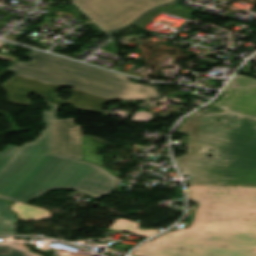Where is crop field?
Returning <instances> with one entry per match:
<instances>
[{"instance_id": "8a807250", "label": "crop field", "mask_w": 256, "mask_h": 256, "mask_svg": "<svg viewBox=\"0 0 256 256\" xmlns=\"http://www.w3.org/2000/svg\"><path fill=\"white\" fill-rule=\"evenodd\" d=\"M199 203L192 225L167 232L133 256H256V186H187Z\"/></svg>"}, {"instance_id": "ac0d7876", "label": "crop field", "mask_w": 256, "mask_h": 256, "mask_svg": "<svg viewBox=\"0 0 256 256\" xmlns=\"http://www.w3.org/2000/svg\"><path fill=\"white\" fill-rule=\"evenodd\" d=\"M178 127L177 133L189 135L187 154L176 158L181 171L191 177L187 185H256L255 118L197 111Z\"/></svg>"}, {"instance_id": "34b2d1b8", "label": "crop field", "mask_w": 256, "mask_h": 256, "mask_svg": "<svg viewBox=\"0 0 256 256\" xmlns=\"http://www.w3.org/2000/svg\"><path fill=\"white\" fill-rule=\"evenodd\" d=\"M24 57L33 60L17 61L6 68L16 74L3 84L11 102L32 105L27 96L38 93L52 105L69 102L77 108L101 112L100 107L109 100L132 102L160 97L154 87L129 82L127 76L35 50ZM60 85L73 88L74 96L70 100L57 97L55 93Z\"/></svg>"}, {"instance_id": "412701ff", "label": "crop field", "mask_w": 256, "mask_h": 256, "mask_svg": "<svg viewBox=\"0 0 256 256\" xmlns=\"http://www.w3.org/2000/svg\"><path fill=\"white\" fill-rule=\"evenodd\" d=\"M43 120L46 130L0 169L1 198L28 203L50 190L67 189L100 199L123 182L97 165L51 154L50 112L43 111Z\"/></svg>"}, {"instance_id": "f4fd0767", "label": "crop field", "mask_w": 256, "mask_h": 256, "mask_svg": "<svg viewBox=\"0 0 256 256\" xmlns=\"http://www.w3.org/2000/svg\"><path fill=\"white\" fill-rule=\"evenodd\" d=\"M107 32L132 23L149 9L174 0H73Z\"/></svg>"}, {"instance_id": "dd49c442", "label": "crop field", "mask_w": 256, "mask_h": 256, "mask_svg": "<svg viewBox=\"0 0 256 256\" xmlns=\"http://www.w3.org/2000/svg\"><path fill=\"white\" fill-rule=\"evenodd\" d=\"M234 84L240 85L232 88ZM227 92L213 105L223 110L251 116L256 118V80L236 75L233 81L226 87Z\"/></svg>"}, {"instance_id": "e52e79f7", "label": "crop field", "mask_w": 256, "mask_h": 256, "mask_svg": "<svg viewBox=\"0 0 256 256\" xmlns=\"http://www.w3.org/2000/svg\"><path fill=\"white\" fill-rule=\"evenodd\" d=\"M51 110L52 153L82 160L81 131L73 119L56 120Z\"/></svg>"}, {"instance_id": "d8731c3e", "label": "crop field", "mask_w": 256, "mask_h": 256, "mask_svg": "<svg viewBox=\"0 0 256 256\" xmlns=\"http://www.w3.org/2000/svg\"><path fill=\"white\" fill-rule=\"evenodd\" d=\"M93 136H82L83 160L104 166L103 157L98 156L97 148L106 147L105 144L93 141Z\"/></svg>"}, {"instance_id": "5a996713", "label": "crop field", "mask_w": 256, "mask_h": 256, "mask_svg": "<svg viewBox=\"0 0 256 256\" xmlns=\"http://www.w3.org/2000/svg\"><path fill=\"white\" fill-rule=\"evenodd\" d=\"M13 212L18 213V218L21 220H35L48 218L51 215L48 211L20 203H16L12 207Z\"/></svg>"}, {"instance_id": "3316defc", "label": "crop field", "mask_w": 256, "mask_h": 256, "mask_svg": "<svg viewBox=\"0 0 256 256\" xmlns=\"http://www.w3.org/2000/svg\"><path fill=\"white\" fill-rule=\"evenodd\" d=\"M10 205L0 200V236L15 235L14 223L16 222L14 214L8 211Z\"/></svg>"}, {"instance_id": "28ad6ade", "label": "crop field", "mask_w": 256, "mask_h": 256, "mask_svg": "<svg viewBox=\"0 0 256 256\" xmlns=\"http://www.w3.org/2000/svg\"><path fill=\"white\" fill-rule=\"evenodd\" d=\"M0 256H42L41 254L33 253L28 247L21 244L6 242L0 243Z\"/></svg>"}, {"instance_id": "d1516ede", "label": "crop field", "mask_w": 256, "mask_h": 256, "mask_svg": "<svg viewBox=\"0 0 256 256\" xmlns=\"http://www.w3.org/2000/svg\"><path fill=\"white\" fill-rule=\"evenodd\" d=\"M138 225L139 224L135 222L119 219L110 228L128 232V233L137 234L143 237H150L156 234L157 232H159L157 230H140V229H137Z\"/></svg>"}, {"instance_id": "22f410ed", "label": "crop field", "mask_w": 256, "mask_h": 256, "mask_svg": "<svg viewBox=\"0 0 256 256\" xmlns=\"http://www.w3.org/2000/svg\"><path fill=\"white\" fill-rule=\"evenodd\" d=\"M144 109L139 108L133 115L132 120L137 122H148L154 117V114L143 111Z\"/></svg>"}, {"instance_id": "cbeb9de0", "label": "crop field", "mask_w": 256, "mask_h": 256, "mask_svg": "<svg viewBox=\"0 0 256 256\" xmlns=\"http://www.w3.org/2000/svg\"><path fill=\"white\" fill-rule=\"evenodd\" d=\"M18 146L8 145L2 153H0V168L10 158V156L16 151Z\"/></svg>"}]
</instances>
